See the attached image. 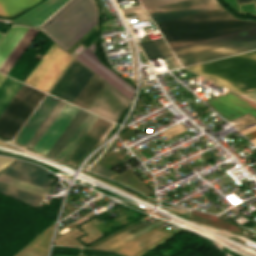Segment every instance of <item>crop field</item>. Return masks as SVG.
Returning <instances> with one entry per match:
<instances>
[{
  "instance_id": "bd1437ed",
  "label": "crop field",
  "mask_w": 256,
  "mask_h": 256,
  "mask_svg": "<svg viewBox=\"0 0 256 256\" xmlns=\"http://www.w3.org/2000/svg\"><path fill=\"white\" fill-rule=\"evenodd\" d=\"M89 171L93 172V173H96V174H99L101 176H104L106 178H109L113 175H115L116 173L96 164L94 167H92Z\"/></svg>"
},
{
  "instance_id": "1d83c4d3",
  "label": "crop field",
  "mask_w": 256,
  "mask_h": 256,
  "mask_svg": "<svg viewBox=\"0 0 256 256\" xmlns=\"http://www.w3.org/2000/svg\"><path fill=\"white\" fill-rule=\"evenodd\" d=\"M16 256H45L39 252H36L28 247H26L24 250H22L18 255Z\"/></svg>"
},
{
  "instance_id": "3316defc",
  "label": "crop field",
  "mask_w": 256,
  "mask_h": 256,
  "mask_svg": "<svg viewBox=\"0 0 256 256\" xmlns=\"http://www.w3.org/2000/svg\"><path fill=\"white\" fill-rule=\"evenodd\" d=\"M50 173V172H49ZM48 172L31 163L17 160L2 174L48 189L54 180L47 178Z\"/></svg>"
},
{
  "instance_id": "5866460e",
  "label": "crop field",
  "mask_w": 256,
  "mask_h": 256,
  "mask_svg": "<svg viewBox=\"0 0 256 256\" xmlns=\"http://www.w3.org/2000/svg\"><path fill=\"white\" fill-rule=\"evenodd\" d=\"M238 3L251 2L250 0H237Z\"/></svg>"
},
{
  "instance_id": "34b2d1b8",
  "label": "crop field",
  "mask_w": 256,
  "mask_h": 256,
  "mask_svg": "<svg viewBox=\"0 0 256 256\" xmlns=\"http://www.w3.org/2000/svg\"><path fill=\"white\" fill-rule=\"evenodd\" d=\"M97 10L91 0H79L45 31L65 51L96 25Z\"/></svg>"
},
{
  "instance_id": "d1516ede",
  "label": "crop field",
  "mask_w": 256,
  "mask_h": 256,
  "mask_svg": "<svg viewBox=\"0 0 256 256\" xmlns=\"http://www.w3.org/2000/svg\"><path fill=\"white\" fill-rule=\"evenodd\" d=\"M79 108H76L67 103L37 145L34 147V150L46 155L58 137L61 135L63 130L78 112Z\"/></svg>"
},
{
  "instance_id": "28ad6ade",
  "label": "crop field",
  "mask_w": 256,
  "mask_h": 256,
  "mask_svg": "<svg viewBox=\"0 0 256 256\" xmlns=\"http://www.w3.org/2000/svg\"><path fill=\"white\" fill-rule=\"evenodd\" d=\"M173 235L156 228L114 250L130 256H141Z\"/></svg>"
},
{
  "instance_id": "dd49c442",
  "label": "crop field",
  "mask_w": 256,
  "mask_h": 256,
  "mask_svg": "<svg viewBox=\"0 0 256 256\" xmlns=\"http://www.w3.org/2000/svg\"><path fill=\"white\" fill-rule=\"evenodd\" d=\"M92 74L74 59L50 94L72 103Z\"/></svg>"
},
{
  "instance_id": "f4fd0767",
  "label": "crop field",
  "mask_w": 256,
  "mask_h": 256,
  "mask_svg": "<svg viewBox=\"0 0 256 256\" xmlns=\"http://www.w3.org/2000/svg\"><path fill=\"white\" fill-rule=\"evenodd\" d=\"M57 47L52 44V46L25 80V83L44 92L49 90V88L72 59V57Z\"/></svg>"
},
{
  "instance_id": "5142ce71",
  "label": "crop field",
  "mask_w": 256,
  "mask_h": 256,
  "mask_svg": "<svg viewBox=\"0 0 256 256\" xmlns=\"http://www.w3.org/2000/svg\"><path fill=\"white\" fill-rule=\"evenodd\" d=\"M57 101L58 99L50 95H47V97L38 107L36 112L27 122L25 127L23 126L24 128L22 129V131L19 133V135L16 137L15 140L18 143L25 145L26 142L29 140V138L32 136V134L35 132V130L38 128V126L41 124V122L45 119V117L48 115V113L57 103Z\"/></svg>"
},
{
  "instance_id": "412701ff",
  "label": "crop field",
  "mask_w": 256,
  "mask_h": 256,
  "mask_svg": "<svg viewBox=\"0 0 256 256\" xmlns=\"http://www.w3.org/2000/svg\"><path fill=\"white\" fill-rule=\"evenodd\" d=\"M44 95L22 85L0 116V136L12 139Z\"/></svg>"
},
{
  "instance_id": "5a996713",
  "label": "crop field",
  "mask_w": 256,
  "mask_h": 256,
  "mask_svg": "<svg viewBox=\"0 0 256 256\" xmlns=\"http://www.w3.org/2000/svg\"><path fill=\"white\" fill-rule=\"evenodd\" d=\"M207 103L228 119H235L247 112L256 117V106L228 92L224 96L221 95ZM245 137L249 140L256 138V131L245 135Z\"/></svg>"
},
{
  "instance_id": "ac0d7876",
  "label": "crop field",
  "mask_w": 256,
  "mask_h": 256,
  "mask_svg": "<svg viewBox=\"0 0 256 256\" xmlns=\"http://www.w3.org/2000/svg\"><path fill=\"white\" fill-rule=\"evenodd\" d=\"M188 69L239 94L256 90V51L188 67Z\"/></svg>"
},
{
  "instance_id": "00972430",
  "label": "crop field",
  "mask_w": 256,
  "mask_h": 256,
  "mask_svg": "<svg viewBox=\"0 0 256 256\" xmlns=\"http://www.w3.org/2000/svg\"><path fill=\"white\" fill-rule=\"evenodd\" d=\"M65 105L66 102H63L61 100L58 101V103L55 105V107L52 109V111L49 113V115L39 126V128L36 130V132L33 134V136L30 138L25 146L33 149V147L36 145V143L39 141V139L42 137V135L45 133V131L48 129V127L51 125V123L54 121V119L57 117V115L60 113Z\"/></svg>"
},
{
  "instance_id": "d32e631a",
  "label": "crop field",
  "mask_w": 256,
  "mask_h": 256,
  "mask_svg": "<svg viewBox=\"0 0 256 256\" xmlns=\"http://www.w3.org/2000/svg\"><path fill=\"white\" fill-rule=\"evenodd\" d=\"M6 76L0 74V85L2 84V82L5 80Z\"/></svg>"
},
{
  "instance_id": "e52e79f7",
  "label": "crop field",
  "mask_w": 256,
  "mask_h": 256,
  "mask_svg": "<svg viewBox=\"0 0 256 256\" xmlns=\"http://www.w3.org/2000/svg\"><path fill=\"white\" fill-rule=\"evenodd\" d=\"M220 7V4L216 0H185L148 9L147 12L154 23H157Z\"/></svg>"
},
{
  "instance_id": "d3111659",
  "label": "crop field",
  "mask_w": 256,
  "mask_h": 256,
  "mask_svg": "<svg viewBox=\"0 0 256 256\" xmlns=\"http://www.w3.org/2000/svg\"><path fill=\"white\" fill-rule=\"evenodd\" d=\"M77 1L78 0H71L69 3H67L62 9H60L54 16H52L46 23H44L41 26V30L43 31L45 28H47L52 22H54L59 16H61L67 9H69Z\"/></svg>"
},
{
  "instance_id": "bc2a9ffb",
  "label": "crop field",
  "mask_w": 256,
  "mask_h": 256,
  "mask_svg": "<svg viewBox=\"0 0 256 256\" xmlns=\"http://www.w3.org/2000/svg\"><path fill=\"white\" fill-rule=\"evenodd\" d=\"M87 115L88 112L82 109L77 113V115L68 125V127L65 129L62 135L47 153V156L55 159V157L58 155V153L61 151V149L64 147V145L67 143V141L70 139V137L73 135V133L76 131V129L79 127V125L82 123Z\"/></svg>"
},
{
  "instance_id": "730fd06b",
  "label": "crop field",
  "mask_w": 256,
  "mask_h": 256,
  "mask_svg": "<svg viewBox=\"0 0 256 256\" xmlns=\"http://www.w3.org/2000/svg\"><path fill=\"white\" fill-rule=\"evenodd\" d=\"M21 85L22 83L7 77V79L0 87V113L9 103Z\"/></svg>"
},
{
  "instance_id": "22f410ed",
  "label": "crop field",
  "mask_w": 256,
  "mask_h": 256,
  "mask_svg": "<svg viewBox=\"0 0 256 256\" xmlns=\"http://www.w3.org/2000/svg\"><path fill=\"white\" fill-rule=\"evenodd\" d=\"M85 58H87L90 62H92L94 65H96L99 69H101L103 72H105L108 76H110L112 79H114L117 83H119L121 86H123L126 90H128L130 93H134L135 88L132 87L130 84L125 82L123 79H121L118 75H116L112 70L107 68L105 65H103L100 60L97 58L94 52H92L90 49H86L84 52L80 53ZM78 55L76 58L80 60L82 63H84L86 66H88L90 69H92L94 72H96L99 76H101L103 79H105L107 82H109L111 85H113L115 88H117L121 93H123L127 98L130 100L132 99L133 95L130 94L128 91H126L123 87H121L119 84H117L114 80H112L110 77H108L105 73H103L101 70H99L96 66H94L92 63H90L87 59H85L83 56Z\"/></svg>"
},
{
  "instance_id": "d9b57169",
  "label": "crop field",
  "mask_w": 256,
  "mask_h": 256,
  "mask_svg": "<svg viewBox=\"0 0 256 256\" xmlns=\"http://www.w3.org/2000/svg\"><path fill=\"white\" fill-rule=\"evenodd\" d=\"M66 1L67 0H47L13 22L40 25Z\"/></svg>"
},
{
  "instance_id": "eef30255",
  "label": "crop field",
  "mask_w": 256,
  "mask_h": 256,
  "mask_svg": "<svg viewBox=\"0 0 256 256\" xmlns=\"http://www.w3.org/2000/svg\"><path fill=\"white\" fill-rule=\"evenodd\" d=\"M54 224L47 229L43 234H41L37 239H35L31 244L28 245V247L37 250L43 254H47V250L49 247L52 230H53Z\"/></svg>"
},
{
  "instance_id": "214f88e0",
  "label": "crop field",
  "mask_w": 256,
  "mask_h": 256,
  "mask_svg": "<svg viewBox=\"0 0 256 256\" xmlns=\"http://www.w3.org/2000/svg\"><path fill=\"white\" fill-rule=\"evenodd\" d=\"M28 30V27L15 26L0 42V66Z\"/></svg>"
},
{
  "instance_id": "733c2abd",
  "label": "crop field",
  "mask_w": 256,
  "mask_h": 256,
  "mask_svg": "<svg viewBox=\"0 0 256 256\" xmlns=\"http://www.w3.org/2000/svg\"><path fill=\"white\" fill-rule=\"evenodd\" d=\"M104 83L101 79L93 74L87 84L84 86L82 91L73 101V104L78 105L87 109L99 91L104 87Z\"/></svg>"
},
{
  "instance_id": "028f5c9d",
  "label": "crop field",
  "mask_w": 256,
  "mask_h": 256,
  "mask_svg": "<svg viewBox=\"0 0 256 256\" xmlns=\"http://www.w3.org/2000/svg\"><path fill=\"white\" fill-rule=\"evenodd\" d=\"M4 34L0 33V40L3 38Z\"/></svg>"
},
{
  "instance_id": "8a807250",
  "label": "crop field",
  "mask_w": 256,
  "mask_h": 256,
  "mask_svg": "<svg viewBox=\"0 0 256 256\" xmlns=\"http://www.w3.org/2000/svg\"><path fill=\"white\" fill-rule=\"evenodd\" d=\"M170 47L250 27L256 22L235 19L224 8L157 23ZM256 48V27L190 43L172 50L182 63L190 65Z\"/></svg>"
},
{
  "instance_id": "750c4746",
  "label": "crop field",
  "mask_w": 256,
  "mask_h": 256,
  "mask_svg": "<svg viewBox=\"0 0 256 256\" xmlns=\"http://www.w3.org/2000/svg\"><path fill=\"white\" fill-rule=\"evenodd\" d=\"M145 9L164 5V4H169L181 0H140Z\"/></svg>"
},
{
  "instance_id": "120bbe31",
  "label": "crop field",
  "mask_w": 256,
  "mask_h": 256,
  "mask_svg": "<svg viewBox=\"0 0 256 256\" xmlns=\"http://www.w3.org/2000/svg\"><path fill=\"white\" fill-rule=\"evenodd\" d=\"M12 161H14L13 159H8V158H3L0 157V171L5 168L8 164H10Z\"/></svg>"
},
{
  "instance_id": "92a150f3",
  "label": "crop field",
  "mask_w": 256,
  "mask_h": 256,
  "mask_svg": "<svg viewBox=\"0 0 256 256\" xmlns=\"http://www.w3.org/2000/svg\"><path fill=\"white\" fill-rule=\"evenodd\" d=\"M110 179L123 183L145 195L153 193L131 169H128Z\"/></svg>"
},
{
  "instance_id": "d8731c3e",
  "label": "crop field",
  "mask_w": 256,
  "mask_h": 256,
  "mask_svg": "<svg viewBox=\"0 0 256 256\" xmlns=\"http://www.w3.org/2000/svg\"><path fill=\"white\" fill-rule=\"evenodd\" d=\"M130 103V101L106 84L88 110L117 122Z\"/></svg>"
},
{
  "instance_id": "dafd665d",
  "label": "crop field",
  "mask_w": 256,
  "mask_h": 256,
  "mask_svg": "<svg viewBox=\"0 0 256 256\" xmlns=\"http://www.w3.org/2000/svg\"><path fill=\"white\" fill-rule=\"evenodd\" d=\"M37 32L38 30L36 29H33V28L29 29V31L26 33L23 39L19 42V44L10 54V56L6 59V61L0 67L1 72L7 74L10 68L13 66V64L16 62V60L19 58V56L22 54V52L25 50V48L28 46V44L31 42L34 36L37 34Z\"/></svg>"
},
{
  "instance_id": "ae1a2a85",
  "label": "crop field",
  "mask_w": 256,
  "mask_h": 256,
  "mask_svg": "<svg viewBox=\"0 0 256 256\" xmlns=\"http://www.w3.org/2000/svg\"><path fill=\"white\" fill-rule=\"evenodd\" d=\"M145 226H147V224L142 222L139 225H137V226H135V227H133V228H131V229H129V230H127V231L117 235V236H115L114 238H112V239H110V240H108V241H106V242H104V243H102V244H100V245H98V246H96L94 248L101 249V248H103V247H105V246H107V245H109V244H111V243H113V242H115V241H117V240H119V239H121V238H123V237H125V236H127V235H129V234H131V233H133V232L143 228V227H145Z\"/></svg>"
},
{
  "instance_id": "4177f3b9",
  "label": "crop field",
  "mask_w": 256,
  "mask_h": 256,
  "mask_svg": "<svg viewBox=\"0 0 256 256\" xmlns=\"http://www.w3.org/2000/svg\"><path fill=\"white\" fill-rule=\"evenodd\" d=\"M141 46L148 58V60L160 57L172 56L171 51L164 42L163 38L141 43Z\"/></svg>"
},
{
  "instance_id": "a9b5d70f",
  "label": "crop field",
  "mask_w": 256,
  "mask_h": 256,
  "mask_svg": "<svg viewBox=\"0 0 256 256\" xmlns=\"http://www.w3.org/2000/svg\"><path fill=\"white\" fill-rule=\"evenodd\" d=\"M0 192L12 196L28 205L35 207L43 197L23 191L21 189L0 183Z\"/></svg>"
},
{
  "instance_id": "4a817a6b",
  "label": "crop field",
  "mask_w": 256,
  "mask_h": 256,
  "mask_svg": "<svg viewBox=\"0 0 256 256\" xmlns=\"http://www.w3.org/2000/svg\"><path fill=\"white\" fill-rule=\"evenodd\" d=\"M43 0H0V16L16 17Z\"/></svg>"
},
{
  "instance_id": "cbeb9de0",
  "label": "crop field",
  "mask_w": 256,
  "mask_h": 256,
  "mask_svg": "<svg viewBox=\"0 0 256 256\" xmlns=\"http://www.w3.org/2000/svg\"><path fill=\"white\" fill-rule=\"evenodd\" d=\"M111 125L112 123L98 117V119L95 121L93 126L87 132V134L82 139L80 144L77 146V148L74 150L72 155L69 157V160L78 162L82 157L88 154L93 148L96 147V145L105 135V133L108 131ZM69 160H67L65 163L71 164V165L76 164V162H72Z\"/></svg>"
}]
</instances>
